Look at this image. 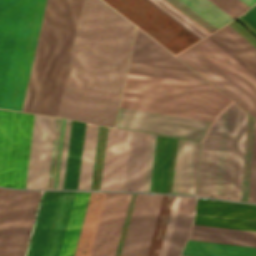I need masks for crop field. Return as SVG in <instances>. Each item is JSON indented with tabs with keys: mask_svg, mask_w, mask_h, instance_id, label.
I'll return each mask as SVG.
<instances>
[{
	"mask_svg": "<svg viewBox=\"0 0 256 256\" xmlns=\"http://www.w3.org/2000/svg\"><path fill=\"white\" fill-rule=\"evenodd\" d=\"M135 26L83 0L57 116L114 126Z\"/></svg>",
	"mask_w": 256,
	"mask_h": 256,
	"instance_id": "crop-field-1",
	"label": "crop field"
},
{
	"mask_svg": "<svg viewBox=\"0 0 256 256\" xmlns=\"http://www.w3.org/2000/svg\"><path fill=\"white\" fill-rule=\"evenodd\" d=\"M82 0H47L21 111L56 116Z\"/></svg>",
	"mask_w": 256,
	"mask_h": 256,
	"instance_id": "crop-field-2",
	"label": "crop field"
},
{
	"mask_svg": "<svg viewBox=\"0 0 256 256\" xmlns=\"http://www.w3.org/2000/svg\"><path fill=\"white\" fill-rule=\"evenodd\" d=\"M247 112L231 103L211 123L201 148L198 195L240 200Z\"/></svg>",
	"mask_w": 256,
	"mask_h": 256,
	"instance_id": "crop-field-3",
	"label": "crop field"
},
{
	"mask_svg": "<svg viewBox=\"0 0 256 256\" xmlns=\"http://www.w3.org/2000/svg\"><path fill=\"white\" fill-rule=\"evenodd\" d=\"M230 101L210 84L128 72L120 107L212 121Z\"/></svg>",
	"mask_w": 256,
	"mask_h": 256,
	"instance_id": "crop-field-4",
	"label": "crop field"
},
{
	"mask_svg": "<svg viewBox=\"0 0 256 256\" xmlns=\"http://www.w3.org/2000/svg\"><path fill=\"white\" fill-rule=\"evenodd\" d=\"M106 3H108L110 6H112L114 9H116L118 12H120L122 15H124L126 18H128L130 21H132L134 24H136L138 27H140L143 31H145L147 34H149L151 37H153L155 40H157L160 44H162L164 47H166L168 50H170L175 55L179 52L183 51L193 43L197 42L204 36L210 34L211 32L217 30L213 26H211L209 23H207L205 20H203L201 17H199L197 14H195L193 11H191L189 8H187L185 5H183L178 0H149L156 6H154L152 3H150L148 0H104Z\"/></svg>",
	"mask_w": 256,
	"mask_h": 256,
	"instance_id": "crop-field-5",
	"label": "crop field"
},
{
	"mask_svg": "<svg viewBox=\"0 0 256 256\" xmlns=\"http://www.w3.org/2000/svg\"><path fill=\"white\" fill-rule=\"evenodd\" d=\"M65 122L35 115L25 188L57 189ZM70 123L67 119L58 189L63 186Z\"/></svg>",
	"mask_w": 256,
	"mask_h": 256,
	"instance_id": "crop-field-6",
	"label": "crop field"
},
{
	"mask_svg": "<svg viewBox=\"0 0 256 256\" xmlns=\"http://www.w3.org/2000/svg\"><path fill=\"white\" fill-rule=\"evenodd\" d=\"M219 30L256 60V48L232 27ZM219 30L192 46L256 99V61Z\"/></svg>",
	"mask_w": 256,
	"mask_h": 256,
	"instance_id": "crop-field-7",
	"label": "crop field"
},
{
	"mask_svg": "<svg viewBox=\"0 0 256 256\" xmlns=\"http://www.w3.org/2000/svg\"><path fill=\"white\" fill-rule=\"evenodd\" d=\"M34 115L0 110V185L24 188Z\"/></svg>",
	"mask_w": 256,
	"mask_h": 256,
	"instance_id": "crop-field-8",
	"label": "crop field"
},
{
	"mask_svg": "<svg viewBox=\"0 0 256 256\" xmlns=\"http://www.w3.org/2000/svg\"><path fill=\"white\" fill-rule=\"evenodd\" d=\"M40 193L0 189V256H24Z\"/></svg>",
	"mask_w": 256,
	"mask_h": 256,
	"instance_id": "crop-field-9",
	"label": "crop field"
},
{
	"mask_svg": "<svg viewBox=\"0 0 256 256\" xmlns=\"http://www.w3.org/2000/svg\"><path fill=\"white\" fill-rule=\"evenodd\" d=\"M73 191L44 192L27 256H58Z\"/></svg>",
	"mask_w": 256,
	"mask_h": 256,
	"instance_id": "crop-field-10",
	"label": "crop field"
},
{
	"mask_svg": "<svg viewBox=\"0 0 256 256\" xmlns=\"http://www.w3.org/2000/svg\"><path fill=\"white\" fill-rule=\"evenodd\" d=\"M46 0H28L4 108L20 111Z\"/></svg>",
	"mask_w": 256,
	"mask_h": 256,
	"instance_id": "crop-field-11",
	"label": "crop field"
},
{
	"mask_svg": "<svg viewBox=\"0 0 256 256\" xmlns=\"http://www.w3.org/2000/svg\"><path fill=\"white\" fill-rule=\"evenodd\" d=\"M188 239L256 247V232L192 225ZM188 240L181 255L256 256V248Z\"/></svg>",
	"mask_w": 256,
	"mask_h": 256,
	"instance_id": "crop-field-12",
	"label": "crop field"
},
{
	"mask_svg": "<svg viewBox=\"0 0 256 256\" xmlns=\"http://www.w3.org/2000/svg\"><path fill=\"white\" fill-rule=\"evenodd\" d=\"M128 71L206 82L139 29L136 30Z\"/></svg>",
	"mask_w": 256,
	"mask_h": 256,
	"instance_id": "crop-field-13",
	"label": "crop field"
},
{
	"mask_svg": "<svg viewBox=\"0 0 256 256\" xmlns=\"http://www.w3.org/2000/svg\"><path fill=\"white\" fill-rule=\"evenodd\" d=\"M85 126L72 120L63 189H77ZM97 129L87 123L78 189H90Z\"/></svg>",
	"mask_w": 256,
	"mask_h": 256,
	"instance_id": "crop-field-14",
	"label": "crop field"
},
{
	"mask_svg": "<svg viewBox=\"0 0 256 256\" xmlns=\"http://www.w3.org/2000/svg\"><path fill=\"white\" fill-rule=\"evenodd\" d=\"M210 122L120 108L116 126L201 140Z\"/></svg>",
	"mask_w": 256,
	"mask_h": 256,
	"instance_id": "crop-field-15",
	"label": "crop field"
},
{
	"mask_svg": "<svg viewBox=\"0 0 256 256\" xmlns=\"http://www.w3.org/2000/svg\"><path fill=\"white\" fill-rule=\"evenodd\" d=\"M130 195L106 192L89 256H115Z\"/></svg>",
	"mask_w": 256,
	"mask_h": 256,
	"instance_id": "crop-field-16",
	"label": "crop field"
},
{
	"mask_svg": "<svg viewBox=\"0 0 256 256\" xmlns=\"http://www.w3.org/2000/svg\"><path fill=\"white\" fill-rule=\"evenodd\" d=\"M26 4L27 0L23 1V5L22 0H0V97L9 62L13 39L16 31V26L19 18V13L22 5L16 36L6 75V80L4 84V89L0 101L1 108H3L5 102V97L8 89V84L15 58L19 35L22 27Z\"/></svg>",
	"mask_w": 256,
	"mask_h": 256,
	"instance_id": "crop-field-17",
	"label": "crop field"
},
{
	"mask_svg": "<svg viewBox=\"0 0 256 256\" xmlns=\"http://www.w3.org/2000/svg\"><path fill=\"white\" fill-rule=\"evenodd\" d=\"M192 224L256 231V207L197 200Z\"/></svg>",
	"mask_w": 256,
	"mask_h": 256,
	"instance_id": "crop-field-18",
	"label": "crop field"
},
{
	"mask_svg": "<svg viewBox=\"0 0 256 256\" xmlns=\"http://www.w3.org/2000/svg\"><path fill=\"white\" fill-rule=\"evenodd\" d=\"M129 134L108 127L100 189L122 190Z\"/></svg>",
	"mask_w": 256,
	"mask_h": 256,
	"instance_id": "crop-field-19",
	"label": "crop field"
},
{
	"mask_svg": "<svg viewBox=\"0 0 256 256\" xmlns=\"http://www.w3.org/2000/svg\"><path fill=\"white\" fill-rule=\"evenodd\" d=\"M185 54H187L191 59H193L197 64H199L203 69H205L210 75H212L216 80H218L222 85H224L228 90H230L235 96H237L241 101H243L247 106H249L254 112H256V100L252 97V96H250L245 90H243L239 85H237L233 80H231L227 75H225L220 69H218L214 64H212L208 59H206L202 54H200L196 49H194L192 46L191 47H189L187 50H185V51H183ZM182 52V53H183ZM179 54V55H177L178 57H180L184 62H186L190 67H192L194 70H196L199 74H201L204 78H206L209 82H211L214 86H216L219 90H221L224 94H226L228 97H230L233 101H235L237 104H239L241 107H243L245 110H247L249 113H251L253 116H255L256 117V113L255 114H253L248 108H246L242 103H240L236 98H234L229 92H227L223 87H221L217 82H215L211 77H209L204 71H202L198 66H196L192 61H190L186 56H184L183 54Z\"/></svg>",
	"mask_w": 256,
	"mask_h": 256,
	"instance_id": "crop-field-20",
	"label": "crop field"
},
{
	"mask_svg": "<svg viewBox=\"0 0 256 256\" xmlns=\"http://www.w3.org/2000/svg\"><path fill=\"white\" fill-rule=\"evenodd\" d=\"M177 141L157 135L150 192L171 193Z\"/></svg>",
	"mask_w": 256,
	"mask_h": 256,
	"instance_id": "crop-field-21",
	"label": "crop field"
},
{
	"mask_svg": "<svg viewBox=\"0 0 256 256\" xmlns=\"http://www.w3.org/2000/svg\"><path fill=\"white\" fill-rule=\"evenodd\" d=\"M217 29L249 9L256 0H180Z\"/></svg>",
	"mask_w": 256,
	"mask_h": 256,
	"instance_id": "crop-field-22",
	"label": "crop field"
},
{
	"mask_svg": "<svg viewBox=\"0 0 256 256\" xmlns=\"http://www.w3.org/2000/svg\"><path fill=\"white\" fill-rule=\"evenodd\" d=\"M149 137L131 131L123 190L142 191Z\"/></svg>",
	"mask_w": 256,
	"mask_h": 256,
	"instance_id": "crop-field-23",
	"label": "crop field"
},
{
	"mask_svg": "<svg viewBox=\"0 0 256 256\" xmlns=\"http://www.w3.org/2000/svg\"><path fill=\"white\" fill-rule=\"evenodd\" d=\"M105 192H91L74 256H88Z\"/></svg>",
	"mask_w": 256,
	"mask_h": 256,
	"instance_id": "crop-field-24",
	"label": "crop field"
},
{
	"mask_svg": "<svg viewBox=\"0 0 256 256\" xmlns=\"http://www.w3.org/2000/svg\"><path fill=\"white\" fill-rule=\"evenodd\" d=\"M89 193H75L59 256H73Z\"/></svg>",
	"mask_w": 256,
	"mask_h": 256,
	"instance_id": "crop-field-25",
	"label": "crop field"
},
{
	"mask_svg": "<svg viewBox=\"0 0 256 256\" xmlns=\"http://www.w3.org/2000/svg\"><path fill=\"white\" fill-rule=\"evenodd\" d=\"M195 197L182 196L166 256H179L187 238Z\"/></svg>",
	"mask_w": 256,
	"mask_h": 256,
	"instance_id": "crop-field-26",
	"label": "crop field"
},
{
	"mask_svg": "<svg viewBox=\"0 0 256 256\" xmlns=\"http://www.w3.org/2000/svg\"><path fill=\"white\" fill-rule=\"evenodd\" d=\"M200 142L185 140L180 174V194L196 195Z\"/></svg>",
	"mask_w": 256,
	"mask_h": 256,
	"instance_id": "crop-field-27",
	"label": "crop field"
},
{
	"mask_svg": "<svg viewBox=\"0 0 256 256\" xmlns=\"http://www.w3.org/2000/svg\"><path fill=\"white\" fill-rule=\"evenodd\" d=\"M162 195H149L133 256H146Z\"/></svg>",
	"mask_w": 256,
	"mask_h": 256,
	"instance_id": "crop-field-28",
	"label": "crop field"
},
{
	"mask_svg": "<svg viewBox=\"0 0 256 256\" xmlns=\"http://www.w3.org/2000/svg\"><path fill=\"white\" fill-rule=\"evenodd\" d=\"M148 195L137 194L121 256H132Z\"/></svg>",
	"mask_w": 256,
	"mask_h": 256,
	"instance_id": "crop-field-29",
	"label": "crop field"
},
{
	"mask_svg": "<svg viewBox=\"0 0 256 256\" xmlns=\"http://www.w3.org/2000/svg\"><path fill=\"white\" fill-rule=\"evenodd\" d=\"M174 196H163L147 256H157Z\"/></svg>",
	"mask_w": 256,
	"mask_h": 256,
	"instance_id": "crop-field-30",
	"label": "crop field"
},
{
	"mask_svg": "<svg viewBox=\"0 0 256 256\" xmlns=\"http://www.w3.org/2000/svg\"><path fill=\"white\" fill-rule=\"evenodd\" d=\"M248 201L256 202V120L254 124L252 160L250 171L249 195Z\"/></svg>",
	"mask_w": 256,
	"mask_h": 256,
	"instance_id": "crop-field-31",
	"label": "crop field"
},
{
	"mask_svg": "<svg viewBox=\"0 0 256 256\" xmlns=\"http://www.w3.org/2000/svg\"><path fill=\"white\" fill-rule=\"evenodd\" d=\"M181 196H175L158 256H165Z\"/></svg>",
	"mask_w": 256,
	"mask_h": 256,
	"instance_id": "crop-field-32",
	"label": "crop field"
},
{
	"mask_svg": "<svg viewBox=\"0 0 256 256\" xmlns=\"http://www.w3.org/2000/svg\"><path fill=\"white\" fill-rule=\"evenodd\" d=\"M156 135L151 134L143 191L149 192Z\"/></svg>",
	"mask_w": 256,
	"mask_h": 256,
	"instance_id": "crop-field-33",
	"label": "crop field"
},
{
	"mask_svg": "<svg viewBox=\"0 0 256 256\" xmlns=\"http://www.w3.org/2000/svg\"><path fill=\"white\" fill-rule=\"evenodd\" d=\"M183 143H184V140L179 138L172 193H177V190H178Z\"/></svg>",
	"mask_w": 256,
	"mask_h": 256,
	"instance_id": "crop-field-34",
	"label": "crop field"
},
{
	"mask_svg": "<svg viewBox=\"0 0 256 256\" xmlns=\"http://www.w3.org/2000/svg\"><path fill=\"white\" fill-rule=\"evenodd\" d=\"M239 18L256 31V4Z\"/></svg>",
	"mask_w": 256,
	"mask_h": 256,
	"instance_id": "crop-field-35",
	"label": "crop field"
}]
</instances>
